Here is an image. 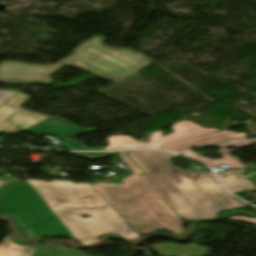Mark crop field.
Instances as JSON below:
<instances>
[{
    "mask_svg": "<svg viewBox=\"0 0 256 256\" xmlns=\"http://www.w3.org/2000/svg\"><path fill=\"white\" fill-rule=\"evenodd\" d=\"M243 136H247V134L231 133V132L223 131V132H218V133H214V134H210V135H206V136H202V137H198L190 140L166 144V145H163L162 148H165L171 151H176V150L206 145L210 143L220 142V141L234 139V138L243 137Z\"/></svg>",
    "mask_w": 256,
    "mask_h": 256,
    "instance_id": "3316defc",
    "label": "crop field"
},
{
    "mask_svg": "<svg viewBox=\"0 0 256 256\" xmlns=\"http://www.w3.org/2000/svg\"><path fill=\"white\" fill-rule=\"evenodd\" d=\"M95 128H80L53 116L25 132L31 134H52L59 137L77 136L82 132H93Z\"/></svg>",
    "mask_w": 256,
    "mask_h": 256,
    "instance_id": "d8731c3e",
    "label": "crop field"
},
{
    "mask_svg": "<svg viewBox=\"0 0 256 256\" xmlns=\"http://www.w3.org/2000/svg\"><path fill=\"white\" fill-rule=\"evenodd\" d=\"M61 144H63L70 150H105V148H86L75 140H63Z\"/></svg>",
    "mask_w": 256,
    "mask_h": 256,
    "instance_id": "5142ce71",
    "label": "crop field"
},
{
    "mask_svg": "<svg viewBox=\"0 0 256 256\" xmlns=\"http://www.w3.org/2000/svg\"><path fill=\"white\" fill-rule=\"evenodd\" d=\"M228 219H233V220H237V221H244V222L256 224V219H247V218H241V217H232V218H228Z\"/></svg>",
    "mask_w": 256,
    "mask_h": 256,
    "instance_id": "bc2a9ffb",
    "label": "crop field"
},
{
    "mask_svg": "<svg viewBox=\"0 0 256 256\" xmlns=\"http://www.w3.org/2000/svg\"><path fill=\"white\" fill-rule=\"evenodd\" d=\"M15 93L17 92L0 90V106L4 102H6L10 97H12Z\"/></svg>",
    "mask_w": 256,
    "mask_h": 256,
    "instance_id": "4a817a6b",
    "label": "crop field"
},
{
    "mask_svg": "<svg viewBox=\"0 0 256 256\" xmlns=\"http://www.w3.org/2000/svg\"><path fill=\"white\" fill-rule=\"evenodd\" d=\"M6 195L0 213L12 216L22 237L66 236L82 246L107 233H119L128 241L139 237L90 184L28 179Z\"/></svg>",
    "mask_w": 256,
    "mask_h": 256,
    "instance_id": "8a807250",
    "label": "crop field"
},
{
    "mask_svg": "<svg viewBox=\"0 0 256 256\" xmlns=\"http://www.w3.org/2000/svg\"><path fill=\"white\" fill-rule=\"evenodd\" d=\"M107 140L106 150L146 148L145 143L138 142L130 136H110Z\"/></svg>",
    "mask_w": 256,
    "mask_h": 256,
    "instance_id": "cbeb9de0",
    "label": "crop field"
},
{
    "mask_svg": "<svg viewBox=\"0 0 256 256\" xmlns=\"http://www.w3.org/2000/svg\"><path fill=\"white\" fill-rule=\"evenodd\" d=\"M69 153L77 155V156L89 158V159H95V158H103V157H109V156L118 155L121 152H117V153H80V152H69Z\"/></svg>",
    "mask_w": 256,
    "mask_h": 256,
    "instance_id": "d9b57169",
    "label": "crop field"
},
{
    "mask_svg": "<svg viewBox=\"0 0 256 256\" xmlns=\"http://www.w3.org/2000/svg\"><path fill=\"white\" fill-rule=\"evenodd\" d=\"M4 182L0 181V185H2Z\"/></svg>",
    "mask_w": 256,
    "mask_h": 256,
    "instance_id": "214f88e0",
    "label": "crop field"
},
{
    "mask_svg": "<svg viewBox=\"0 0 256 256\" xmlns=\"http://www.w3.org/2000/svg\"><path fill=\"white\" fill-rule=\"evenodd\" d=\"M217 176L224 185L234 194L240 193L243 188L255 189L256 187L239 171L218 173Z\"/></svg>",
    "mask_w": 256,
    "mask_h": 256,
    "instance_id": "d1516ede",
    "label": "crop field"
},
{
    "mask_svg": "<svg viewBox=\"0 0 256 256\" xmlns=\"http://www.w3.org/2000/svg\"><path fill=\"white\" fill-rule=\"evenodd\" d=\"M29 99L18 92L0 107V133L24 131L50 117L21 109L20 106Z\"/></svg>",
    "mask_w": 256,
    "mask_h": 256,
    "instance_id": "f4fd0767",
    "label": "crop field"
},
{
    "mask_svg": "<svg viewBox=\"0 0 256 256\" xmlns=\"http://www.w3.org/2000/svg\"><path fill=\"white\" fill-rule=\"evenodd\" d=\"M43 246L45 250L41 252ZM64 245L43 243L40 251L35 248L20 246L12 243L5 237L0 243V256H85L83 252L76 248H70L69 251L64 250Z\"/></svg>",
    "mask_w": 256,
    "mask_h": 256,
    "instance_id": "dd49c442",
    "label": "crop field"
},
{
    "mask_svg": "<svg viewBox=\"0 0 256 256\" xmlns=\"http://www.w3.org/2000/svg\"><path fill=\"white\" fill-rule=\"evenodd\" d=\"M121 157L136 173L124 178L125 184L92 186L139 234L167 228L181 235V219L137 176L143 172L124 154Z\"/></svg>",
    "mask_w": 256,
    "mask_h": 256,
    "instance_id": "34b2d1b8",
    "label": "crop field"
},
{
    "mask_svg": "<svg viewBox=\"0 0 256 256\" xmlns=\"http://www.w3.org/2000/svg\"><path fill=\"white\" fill-rule=\"evenodd\" d=\"M92 39V38H91ZM150 63L129 50H110L98 37L84 43L77 53L57 66L44 68L5 62L0 66V81L5 83H50L48 76L64 64L81 67L114 82Z\"/></svg>",
    "mask_w": 256,
    "mask_h": 256,
    "instance_id": "412701ff",
    "label": "crop field"
},
{
    "mask_svg": "<svg viewBox=\"0 0 256 256\" xmlns=\"http://www.w3.org/2000/svg\"><path fill=\"white\" fill-rule=\"evenodd\" d=\"M231 145H234L236 147H241V146L250 145V143L246 140V138H243V139H239V140H235V141H229V142H224V143H220V144L206 146V147L218 146L220 149H222L221 151H218V153L223 156V159H217V160H212L210 158H203V157L199 156L198 154H196L195 152H193L191 149L179 151L178 153L185 154L191 158H194L200 162L207 164L210 167L221 165V164H226L227 167H229V169L244 168L245 166L243 164H241L237 158L229 156L232 152H234V150H229V149L223 150V148L231 146Z\"/></svg>",
    "mask_w": 256,
    "mask_h": 256,
    "instance_id": "5a996713",
    "label": "crop field"
},
{
    "mask_svg": "<svg viewBox=\"0 0 256 256\" xmlns=\"http://www.w3.org/2000/svg\"><path fill=\"white\" fill-rule=\"evenodd\" d=\"M172 130L174 132L166 136H161L162 131L154 132L149 143H147L148 147L161 148V146L166 143L190 139L219 131L216 129L200 127L191 121L177 123L172 126Z\"/></svg>",
    "mask_w": 256,
    "mask_h": 256,
    "instance_id": "e52e79f7",
    "label": "crop field"
},
{
    "mask_svg": "<svg viewBox=\"0 0 256 256\" xmlns=\"http://www.w3.org/2000/svg\"><path fill=\"white\" fill-rule=\"evenodd\" d=\"M19 183L16 182H8L4 186L0 188V200L5 198V194L8 193L10 190H12L14 187H16Z\"/></svg>",
    "mask_w": 256,
    "mask_h": 256,
    "instance_id": "733c2abd",
    "label": "crop field"
},
{
    "mask_svg": "<svg viewBox=\"0 0 256 256\" xmlns=\"http://www.w3.org/2000/svg\"><path fill=\"white\" fill-rule=\"evenodd\" d=\"M153 247L162 255V256H208L209 252L199 246L186 245V246H177L171 244H157Z\"/></svg>",
    "mask_w": 256,
    "mask_h": 256,
    "instance_id": "28ad6ade",
    "label": "crop field"
},
{
    "mask_svg": "<svg viewBox=\"0 0 256 256\" xmlns=\"http://www.w3.org/2000/svg\"><path fill=\"white\" fill-rule=\"evenodd\" d=\"M165 172L141 178L183 219L213 218L219 210L246 206L218 184L212 173L184 172L173 166L167 151H147Z\"/></svg>",
    "mask_w": 256,
    "mask_h": 256,
    "instance_id": "ac0d7876",
    "label": "crop field"
},
{
    "mask_svg": "<svg viewBox=\"0 0 256 256\" xmlns=\"http://www.w3.org/2000/svg\"><path fill=\"white\" fill-rule=\"evenodd\" d=\"M128 155L146 174L163 171L146 151L128 152Z\"/></svg>",
    "mask_w": 256,
    "mask_h": 256,
    "instance_id": "22f410ed",
    "label": "crop field"
}]
</instances>
